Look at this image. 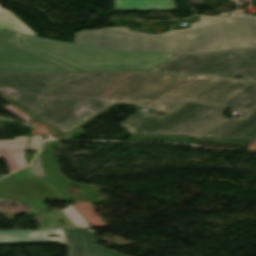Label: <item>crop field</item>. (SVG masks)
<instances>
[{
    "label": "crop field",
    "instance_id": "obj_5",
    "mask_svg": "<svg viewBox=\"0 0 256 256\" xmlns=\"http://www.w3.org/2000/svg\"><path fill=\"white\" fill-rule=\"evenodd\" d=\"M187 76L197 72L243 75L256 83V49L232 50L207 55H177L152 69Z\"/></svg>",
    "mask_w": 256,
    "mask_h": 256
},
{
    "label": "crop field",
    "instance_id": "obj_15",
    "mask_svg": "<svg viewBox=\"0 0 256 256\" xmlns=\"http://www.w3.org/2000/svg\"><path fill=\"white\" fill-rule=\"evenodd\" d=\"M4 109L8 110L9 112L13 113L14 115L20 117L21 119L25 120L27 123H30V116L25 114L24 112L20 111L16 107L10 105L5 106Z\"/></svg>",
    "mask_w": 256,
    "mask_h": 256
},
{
    "label": "crop field",
    "instance_id": "obj_11",
    "mask_svg": "<svg viewBox=\"0 0 256 256\" xmlns=\"http://www.w3.org/2000/svg\"><path fill=\"white\" fill-rule=\"evenodd\" d=\"M0 29L37 36L10 11L0 7Z\"/></svg>",
    "mask_w": 256,
    "mask_h": 256
},
{
    "label": "crop field",
    "instance_id": "obj_10",
    "mask_svg": "<svg viewBox=\"0 0 256 256\" xmlns=\"http://www.w3.org/2000/svg\"><path fill=\"white\" fill-rule=\"evenodd\" d=\"M177 9L174 0H114V11Z\"/></svg>",
    "mask_w": 256,
    "mask_h": 256
},
{
    "label": "crop field",
    "instance_id": "obj_9",
    "mask_svg": "<svg viewBox=\"0 0 256 256\" xmlns=\"http://www.w3.org/2000/svg\"><path fill=\"white\" fill-rule=\"evenodd\" d=\"M200 140L242 146L256 141V107L244 117L230 120Z\"/></svg>",
    "mask_w": 256,
    "mask_h": 256
},
{
    "label": "crop field",
    "instance_id": "obj_6",
    "mask_svg": "<svg viewBox=\"0 0 256 256\" xmlns=\"http://www.w3.org/2000/svg\"><path fill=\"white\" fill-rule=\"evenodd\" d=\"M58 233L59 238H49ZM60 242L69 245V256H124L97 246L95 233L89 228L0 231V244Z\"/></svg>",
    "mask_w": 256,
    "mask_h": 256
},
{
    "label": "crop field",
    "instance_id": "obj_8",
    "mask_svg": "<svg viewBox=\"0 0 256 256\" xmlns=\"http://www.w3.org/2000/svg\"><path fill=\"white\" fill-rule=\"evenodd\" d=\"M0 198L19 200L48 211L46 199L64 200L51 182L30 175L28 168L0 182Z\"/></svg>",
    "mask_w": 256,
    "mask_h": 256
},
{
    "label": "crop field",
    "instance_id": "obj_19",
    "mask_svg": "<svg viewBox=\"0 0 256 256\" xmlns=\"http://www.w3.org/2000/svg\"><path fill=\"white\" fill-rule=\"evenodd\" d=\"M253 2H255V3H256V0H253Z\"/></svg>",
    "mask_w": 256,
    "mask_h": 256
},
{
    "label": "crop field",
    "instance_id": "obj_13",
    "mask_svg": "<svg viewBox=\"0 0 256 256\" xmlns=\"http://www.w3.org/2000/svg\"><path fill=\"white\" fill-rule=\"evenodd\" d=\"M28 137H17L14 140H0V151L25 150Z\"/></svg>",
    "mask_w": 256,
    "mask_h": 256
},
{
    "label": "crop field",
    "instance_id": "obj_17",
    "mask_svg": "<svg viewBox=\"0 0 256 256\" xmlns=\"http://www.w3.org/2000/svg\"><path fill=\"white\" fill-rule=\"evenodd\" d=\"M42 140L40 135H31L28 150H39L38 145Z\"/></svg>",
    "mask_w": 256,
    "mask_h": 256
},
{
    "label": "crop field",
    "instance_id": "obj_1",
    "mask_svg": "<svg viewBox=\"0 0 256 256\" xmlns=\"http://www.w3.org/2000/svg\"><path fill=\"white\" fill-rule=\"evenodd\" d=\"M0 73V97L32 114L64 139L120 102L166 112L186 98L240 109L256 105V85L197 74L188 79L154 71Z\"/></svg>",
    "mask_w": 256,
    "mask_h": 256
},
{
    "label": "crop field",
    "instance_id": "obj_12",
    "mask_svg": "<svg viewBox=\"0 0 256 256\" xmlns=\"http://www.w3.org/2000/svg\"><path fill=\"white\" fill-rule=\"evenodd\" d=\"M0 159H5L10 172L27 165L24 158V151L0 152Z\"/></svg>",
    "mask_w": 256,
    "mask_h": 256
},
{
    "label": "crop field",
    "instance_id": "obj_2",
    "mask_svg": "<svg viewBox=\"0 0 256 256\" xmlns=\"http://www.w3.org/2000/svg\"><path fill=\"white\" fill-rule=\"evenodd\" d=\"M189 29L150 35L126 28L80 31L75 43L131 51L201 53L256 47V17H199Z\"/></svg>",
    "mask_w": 256,
    "mask_h": 256
},
{
    "label": "crop field",
    "instance_id": "obj_4",
    "mask_svg": "<svg viewBox=\"0 0 256 256\" xmlns=\"http://www.w3.org/2000/svg\"><path fill=\"white\" fill-rule=\"evenodd\" d=\"M225 107L187 100L164 116L138 112L121 124L131 136H179L198 139L228 120Z\"/></svg>",
    "mask_w": 256,
    "mask_h": 256
},
{
    "label": "crop field",
    "instance_id": "obj_14",
    "mask_svg": "<svg viewBox=\"0 0 256 256\" xmlns=\"http://www.w3.org/2000/svg\"><path fill=\"white\" fill-rule=\"evenodd\" d=\"M78 227H90L73 206L63 210Z\"/></svg>",
    "mask_w": 256,
    "mask_h": 256
},
{
    "label": "crop field",
    "instance_id": "obj_18",
    "mask_svg": "<svg viewBox=\"0 0 256 256\" xmlns=\"http://www.w3.org/2000/svg\"><path fill=\"white\" fill-rule=\"evenodd\" d=\"M34 156H35L34 154L28 153V154H27V160H28V162H30V161L33 159Z\"/></svg>",
    "mask_w": 256,
    "mask_h": 256
},
{
    "label": "crop field",
    "instance_id": "obj_16",
    "mask_svg": "<svg viewBox=\"0 0 256 256\" xmlns=\"http://www.w3.org/2000/svg\"><path fill=\"white\" fill-rule=\"evenodd\" d=\"M29 168H30L32 174L44 178V173H43L41 163H40V157H38L36 159V161L34 162V164L32 166H30Z\"/></svg>",
    "mask_w": 256,
    "mask_h": 256
},
{
    "label": "crop field",
    "instance_id": "obj_7",
    "mask_svg": "<svg viewBox=\"0 0 256 256\" xmlns=\"http://www.w3.org/2000/svg\"><path fill=\"white\" fill-rule=\"evenodd\" d=\"M79 71L21 45V37L0 32V72Z\"/></svg>",
    "mask_w": 256,
    "mask_h": 256
},
{
    "label": "crop field",
    "instance_id": "obj_3",
    "mask_svg": "<svg viewBox=\"0 0 256 256\" xmlns=\"http://www.w3.org/2000/svg\"><path fill=\"white\" fill-rule=\"evenodd\" d=\"M22 44L81 71L148 70L175 56L112 51L26 36Z\"/></svg>",
    "mask_w": 256,
    "mask_h": 256
}]
</instances>
